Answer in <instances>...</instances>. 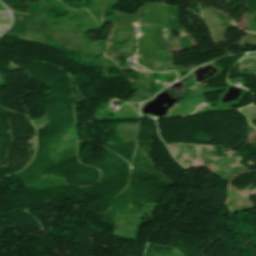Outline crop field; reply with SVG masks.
<instances>
[{"mask_svg":"<svg viewBox=\"0 0 256 256\" xmlns=\"http://www.w3.org/2000/svg\"><path fill=\"white\" fill-rule=\"evenodd\" d=\"M10 25H0V33L5 31Z\"/></svg>","mask_w":256,"mask_h":256,"instance_id":"1","label":"crop field"}]
</instances>
